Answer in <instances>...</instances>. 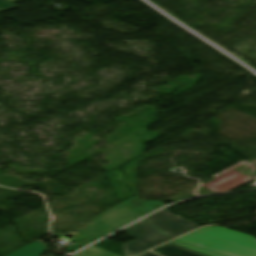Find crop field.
<instances>
[{
	"label": "crop field",
	"instance_id": "12",
	"mask_svg": "<svg viewBox=\"0 0 256 256\" xmlns=\"http://www.w3.org/2000/svg\"><path fill=\"white\" fill-rule=\"evenodd\" d=\"M2 167H0V169H1Z\"/></svg>",
	"mask_w": 256,
	"mask_h": 256
},
{
	"label": "crop field",
	"instance_id": "1",
	"mask_svg": "<svg viewBox=\"0 0 256 256\" xmlns=\"http://www.w3.org/2000/svg\"><path fill=\"white\" fill-rule=\"evenodd\" d=\"M254 237L223 227L203 228L176 241L224 256H256Z\"/></svg>",
	"mask_w": 256,
	"mask_h": 256
},
{
	"label": "crop field",
	"instance_id": "3",
	"mask_svg": "<svg viewBox=\"0 0 256 256\" xmlns=\"http://www.w3.org/2000/svg\"><path fill=\"white\" fill-rule=\"evenodd\" d=\"M123 231L134 239V241L122 246L125 256L136 255L153 246L170 240L167 236L143 219L123 229Z\"/></svg>",
	"mask_w": 256,
	"mask_h": 256
},
{
	"label": "crop field",
	"instance_id": "10",
	"mask_svg": "<svg viewBox=\"0 0 256 256\" xmlns=\"http://www.w3.org/2000/svg\"><path fill=\"white\" fill-rule=\"evenodd\" d=\"M168 244H171V243H168ZM171 245H174V244H171ZM174 246L179 247V248H182V249H185V250H188V251H191V252H194V253L199 254V255H202V256H208V255H205V254H202V253H199V252L193 251V250H189V249H186V248H183V247L177 246V245H174Z\"/></svg>",
	"mask_w": 256,
	"mask_h": 256
},
{
	"label": "crop field",
	"instance_id": "8",
	"mask_svg": "<svg viewBox=\"0 0 256 256\" xmlns=\"http://www.w3.org/2000/svg\"><path fill=\"white\" fill-rule=\"evenodd\" d=\"M14 8H18V6L9 2L8 0H0V12Z\"/></svg>",
	"mask_w": 256,
	"mask_h": 256
},
{
	"label": "crop field",
	"instance_id": "5",
	"mask_svg": "<svg viewBox=\"0 0 256 256\" xmlns=\"http://www.w3.org/2000/svg\"><path fill=\"white\" fill-rule=\"evenodd\" d=\"M47 247L42 240L34 242L8 256H41L47 252Z\"/></svg>",
	"mask_w": 256,
	"mask_h": 256
},
{
	"label": "crop field",
	"instance_id": "7",
	"mask_svg": "<svg viewBox=\"0 0 256 256\" xmlns=\"http://www.w3.org/2000/svg\"><path fill=\"white\" fill-rule=\"evenodd\" d=\"M74 256H117L115 254H112L108 251L102 250L100 248L97 247H90Z\"/></svg>",
	"mask_w": 256,
	"mask_h": 256
},
{
	"label": "crop field",
	"instance_id": "2",
	"mask_svg": "<svg viewBox=\"0 0 256 256\" xmlns=\"http://www.w3.org/2000/svg\"><path fill=\"white\" fill-rule=\"evenodd\" d=\"M136 218L137 215L121 204L96 216L92 222L75 232L96 240Z\"/></svg>",
	"mask_w": 256,
	"mask_h": 256
},
{
	"label": "crop field",
	"instance_id": "4",
	"mask_svg": "<svg viewBox=\"0 0 256 256\" xmlns=\"http://www.w3.org/2000/svg\"><path fill=\"white\" fill-rule=\"evenodd\" d=\"M145 220L171 239L199 227L191 221L184 220L180 216H174L164 209L146 217Z\"/></svg>",
	"mask_w": 256,
	"mask_h": 256
},
{
	"label": "crop field",
	"instance_id": "11",
	"mask_svg": "<svg viewBox=\"0 0 256 256\" xmlns=\"http://www.w3.org/2000/svg\"><path fill=\"white\" fill-rule=\"evenodd\" d=\"M140 256H156V255H154V254H152V253H150V252H147V253H145V254H143V255H140Z\"/></svg>",
	"mask_w": 256,
	"mask_h": 256
},
{
	"label": "crop field",
	"instance_id": "9",
	"mask_svg": "<svg viewBox=\"0 0 256 256\" xmlns=\"http://www.w3.org/2000/svg\"><path fill=\"white\" fill-rule=\"evenodd\" d=\"M171 243H174V244H177V245H180V246L186 247V248H190V249H193V250H196V251H199V252H202V253H205V254L211 255V256H219V255L212 254V253H209V252H206V251H203V250H200V249H197V248H194V247L188 246V245H184V244H181V243H178V242H175V241H173V242H171Z\"/></svg>",
	"mask_w": 256,
	"mask_h": 256
},
{
	"label": "crop field",
	"instance_id": "6",
	"mask_svg": "<svg viewBox=\"0 0 256 256\" xmlns=\"http://www.w3.org/2000/svg\"><path fill=\"white\" fill-rule=\"evenodd\" d=\"M152 251H155L163 256H199L168 244L155 248Z\"/></svg>",
	"mask_w": 256,
	"mask_h": 256
}]
</instances>
